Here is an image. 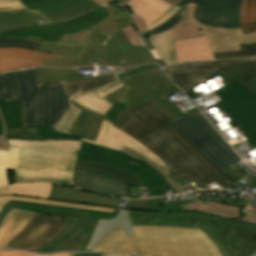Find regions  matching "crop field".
I'll return each mask as SVG.
<instances>
[{"instance_id": "crop-field-1", "label": "crop field", "mask_w": 256, "mask_h": 256, "mask_svg": "<svg viewBox=\"0 0 256 256\" xmlns=\"http://www.w3.org/2000/svg\"><path fill=\"white\" fill-rule=\"evenodd\" d=\"M122 10L114 5L99 7L73 19L10 30L0 36L80 46L79 66L90 65V60H100L102 66L118 67L155 62L145 47L132 46L122 32V28L133 25Z\"/></svg>"}, {"instance_id": "crop-field-2", "label": "crop field", "mask_w": 256, "mask_h": 256, "mask_svg": "<svg viewBox=\"0 0 256 256\" xmlns=\"http://www.w3.org/2000/svg\"><path fill=\"white\" fill-rule=\"evenodd\" d=\"M167 116L147 103L132 111L115 128L128 134L162 160L175 175L187 177L195 184H235L208 161L169 122Z\"/></svg>"}, {"instance_id": "crop-field-3", "label": "crop field", "mask_w": 256, "mask_h": 256, "mask_svg": "<svg viewBox=\"0 0 256 256\" xmlns=\"http://www.w3.org/2000/svg\"><path fill=\"white\" fill-rule=\"evenodd\" d=\"M132 227L135 236L126 237L121 228L107 236L94 251L140 256H221L212 241L201 230Z\"/></svg>"}, {"instance_id": "crop-field-4", "label": "crop field", "mask_w": 256, "mask_h": 256, "mask_svg": "<svg viewBox=\"0 0 256 256\" xmlns=\"http://www.w3.org/2000/svg\"><path fill=\"white\" fill-rule=\"evenodd\" d=\"M0 99H23L21 126L53 129L70 105L62 82L39 85L34 68L0 74Z\"/></svg>"}, {"instance_id": "crop-field-5", "label": "crop field", "mask_w": 256, "mask_h": 256, "mask_svg": "<svg viewBox=\"0 0 256 256\" xmlns=\"http://www.w3.org/2000/svg\"><path fill=\"white\" fill-rule=\"evenodd\" d=\"M132 225L176 226L203 230L222 256H250L256 251V227L198 212L152 213L129 211Z\"/></svg>"}, {"instance_id": "crop-field-6", "label": "crop field", "mask_w": 256, "mask_h": 256, "mask_svg": "<svg viewBox=\"0 0 256 256\" xmlns=\"http://www.w3.org/2000/svg\"><path fill=\"white\" fill-rule=\"evenodd\" d=\"M19 145L16 183H57L70 185L82 142L47 140L46 142L8 139Z\"/></svg>"}, {"instance_id": "crop-field-7", "label": "crop field", "mask_w": 256, "mask_h": 256, "mask_svg": "<svg viewBox=\"0 0 256 256\" xmlns=\"http://www.w3.org/2000/svg\"><path fill=\"white\" fill-rule=\"evenodd\" d=\"M72 186L117 197H128L127 184L145 186L139 177L114 165L76 161Z\"/></svg>"}, {"instance_id": "crop-field-8", "label": "crop field", "mask_w": 256, "mask_h": 256, "mask_svg": "<svg viewBox=\"0 0 256 256\" xmlns=\"http://www.w3.org/2000/svg\"><path fill=\"white\" fill-rule=\"evenodd\" d=\"M120 81L125 86L104 97L113 104L119 101L128 106L118 117L117 126L121 124L133 109L141 105L144 101L166 114L169 118L175 120V118L153 97L165 88L173 85L159 68L142 72ZM154 86H156V88H154Z\"/></svg>"}, {"instance_id": "crop-field-9", "label": "crop field", "mask_w": 256, "mask_h": 256, "mask_svg": "<svg viewBox=\"0 0 256 256\" xmlns=\"http://www.w3.org/2000/svg\"><path fill=\"white\" fill-rule=\"evenodd\" d=\"M171 124L221 170L240 161L200 113L181 118Z\"/></svg>"}, {"instance_id": "crop-field-10", "label": "crop field", "mask_w": 256, "mask_h": 256, "mask_svg": "<svg viewBox=\"0 0 256 256\" xmlns=\"http://www.w3.org/2000/svg\"><path fill=\"white\" fill-rule=\"evenodd\" d=\"M195 8L196 4H187V19L171 29L174 41L208 35L213 53L240 50V45L256 43V32L242 35L241 28L221 29L201 25L193 17Z\"/></svg>"}, {"instance_id": "crop-field-11", "label": "crop field", "mask_w": 256, "mask_h": 256, "mask_svg": "<svg viewBox=\"0 0 256 256\" xmlns=\"http://www.w3.org/2000/svg\"><path fill=\"white\" fill-rule=\"evenodd\" d=\"M216 92L224 100L216 105L239 126L251 145L256 147V94L237 80Z\"/></svg>"}, {"instance_id": "crop-field-12", "label": "crop field", "mask_w": 256, "mask_h": 256, "mask_svg": "<svg viewBox=\"0 0 256 256\" xmlns=\"http://www.w3.org/2000/svg\"><path fill=\"white\" fill-rule=\"evenodd\" d=\"M77 159L114 164L133 172L147 185L151 197L166 195L162 188L170 187L165 177L157 173L144 160H137L121 152L83 142Z\"/></svg>"}, {"instance_id": "crop-field-13", "label": "crop field", "mask_w": 256, "mask_h": 256, "mask_svg": "<svg viewBox=\"0 0 256 256\" xmlns=\"http://www.w3.org/2000/svg\"><path fill=\"white\" fill-rule=\"evenodd\" d=\"M70 218L35 214L25 228L10 241L6 248L35 252L56 237Z\"/></svg>"}, {"instance_id": "crop-field-14", "label": "crop field", "mask_w": 256, "mask_h": 256, "mask_svg": "<svg viewBox=\"0 0 256 256\" xmlns=\"http://www.w3.org/2000/svg\"><path fill=\"white\" fill-rule=\"evenodd\" d=\"M251 63H256V57L220 62L179 64L168 66L165 71L183 90H186L206 81L203 78L219 71Z\"/></svg>"}, {"instance_id": "crop-field-15", "label": "crop field", "mask_w": 256, "mask_h": 256, "mask_svg": "<svg viewBox=\"0 0 256 256\" xmlns=\"http://www.w3.org/2000/svg\"><path fill=\"white\" fill-rule=\"evenodd\" d=\"M198 4L194 17L198 22L221 28L240 27L241 0H192Z\"/></svg>"}, {"instance_id": "crop-field-16", "label": "crop field", "mask_w": 256, "mask_h": 256, "mask_svg": "<svg viewBox=\"0 0 256 256\" xmlns=\"http://www.w3.org/2000/svg\"><path fill=\"white\" fill-rule=\"evenodd\" d=\"M97 220L71 217L64 230L47 243L38 253L62 250H83L87 245Z\"/></svg>"}, {"instance_id": "crop-field-17", "label": "crop field", "mask_w": 256, "mask_h": 256, "mask_svg": "<svg viewBox=\"0 0 256 256\" xmlns=\"http://www.w3.org/2000/svg\"><path fill=\"white\" fill-rule=\"evenodd\" d=\"M101 5L90 0H45L25 7L41 12L49 21L68 19Z\"/></svg>"}, {"instance_id": "crop-field-18", "label": "crop field", "mask_w": 256, "mask_h": 256, "mask_svg": "<svg viewBox=\"0 0 256 256\" xmlns=\"http://www.w3.org/2000/svg\"><path fill=\"white\" fill-rule=\"evenodd\" d=\"M18 208L34 213L47 214V215H56V216H75L83 218H95V219H110L115 216L113 213L91 211L63 206H55L41 203H33L26 201H16L9 200L8 203L0 211V223L9 212L10 208Z\"/></svg>"}, {"instance_id": "crop-field-19", "label": "crop field", "mask_w": 256, "mask_h": 256, "mask_svg": "<svg viewBox=\"0 0 256 256\" xmlns=\"http://www.w3.org/2000/svg\"><path fill=\"white\" fill-rule=\"evenodd\" d=\"M84 142H89L98 146L107 147L112 150L120 151L125 145L133 150L147 156L152 161L162 167L168 174H172V171L157 157L146 150L137 141L124 134L122 131L115 129L109 121L103 119V123L99 132V135L95 142L82 139Z\"/></svg>"}, {"instance_id": "crop-field-20", "label": "crop field", "mask_w": 256, "mask_h": 256, "mask_svg": "<svg viewBox=\"0 0 256 256\" xmlns=\"http://www.w3.org/2000/svg\"><path fill=\"white\" fill-rule=\"evenodd\" d=\"M22 100H0V134H5V128H37L36 137L46 139L80 140L81 136L59 133L55 130L39 127H21Z\"/></svg>"}, {"instance_id": "crop-field-21", "label": "crop field", "mask_w": 256, "mask_h": 256, "mask_svg": "<svg viewBox=\"0 0 256 256\" xmlns=\"http://www.w3.org/2000/svg\"><path fill=\"white\" fill-rule=\"evenodd\" d=\"M62 57L47 52L19 47H0V72L43 66L42 58Z\"/></svg>"}, {"instance_id": "crop-field-22", "label": "crop field", "mask_w": 256, "mask_h": 256, "mask_svg": "<svg viewBox=\"0 0 256 256\" xmlns=\"http://www.w3.org/2000/svg\"><path fill=\"white\" fill-rule=\"evenodd\" d=\"M49 199L62 200V201L80 203V204L122 208V207L113 205L117 200L116 198L107 197V196L83 191V190L72 188V187L58 186V185L52 186Z\"/></svg>"}, {"instance_id": "crop-field-23", "label": "crop field", "mask_w": 256, "mask_h": 256, "mask_svg": "<svg viewBox=\"0 0 256 256\" xmlns=\"http://www.w3.org/2000/svg\"><path fill=\"white\" fill-rule=\"evenodd\" d=\"M178 62L215 60L207 36L174 43Z\"/></svg>"}, {"instance_id": "crop-field-24", "label": "crop field", "mask_w": 256, "mask_h": 256, "mask_svg": "<svg viewBox=\"0 0 256 256\" xmlns=\"http://www.w3.org/2000/svg\"><path fill=\"white\" fill-rule=\"evenodd\" d=\"M121 227L127 236L134 235L128 218V210H119L113 219L98 220L92 237L84 250L92 251L107 235Z\"/></svg>"}, {"instance_id": "crop-field-25", "label": "crop field", "mask_w": 256, "mask_h": 256, "mask_svg": "<svg viewBox=\"0 0 256 256\" xmlns=\"http://www.w3.org/2000/svg\"><path fill=\"white\" fill-rule=\"evenodd\" d=\"M33 215V213L12 208L0 225V248H5L9 241L24 228Z\"/></svg>"}, {"instance_id": "crop-field-26", "label": "crop field", "mask_w": 256, "mask_h": 256, "mask_svg": "<svg viewBox=\"0 0 256 256\" xmlns=\"http://www.w3.org/2000/svg\"><path fill=\"white\" fill-rule=\"evenodd\" d=\"M122 86L124 85L120 81H118L110 86H107L99 90L86 93L80 96H76L70 99L76 101L80 105L90 110H93L99 114L104 115L111 108L113 104L105 100L103 97L117 90Z\"/></svg>"}, {"instance_id": "crop-field-27", "label": "crop field", "mask_w": 256, "mask_h": 256, "mask_svg": "<svg viewBox=\"0 0 256 256\" xmlns=\"http://www.w3.org/2000/svg\"><path fill=\"white\" fill-rule=\"evenodd\" d=\"M191 196L194 198L196 202H192L190 204L183 205L182 207L188 211H198L208 215L233 220L239 219L240 216V209L241 207H229L224 206L222 204L216 202H209L207 204H202L192 193Z\"/></svg>"}, {"instance_id": "crop-field-28", "label": "crop field", "mask_w": 256, "mask_h": 256, "mask_svg": "<svg viewBox=\"0 0 256 256\" xmlns=\"http://www.w3.org/2000/svg\"><path fill=\"white\" fill-rule=\"evenodd\" d=\"M45 22H47V20L42 15L26 10L0 12V31Z\"/></svg>"}, {"instance_id": "crop-field-29", "label": "crop field", "mask_w": 256, "mask_h": 256, "mask_svg": "<svg viewBox=\"0 0 256 256\" xmlns=\"http://www.w3.org/2000/svg\"><path fill=\"white\" fill-rule=\"evenodd\" d=\"M35 69H36V73H37L40 84L85 78L83 73H79V70L77 68L53 69V68H47V67H38ZM111 74H114L113 70L111 71V73L99 74L96 77L107 76Z\"/></svg>"}, {"instance_id": "crop-field-30", "label": "crop field", "mask_w": 256, "mask_h": 256, "mask_svg": "<svg viewBox=\"0 0 256 256\" xmlns=\"http://www.w3.org/2000/svg\"><path fill=\"white\" fill-rule=\"evenodd\" d=\"M126 5L131 6L132 12L149 23L171 5L161 0H130Z\"/></svg>"}, {"instance_id": "crop-field-31", "label": "crop field", "mask_w": 256, "mask_h": 256, "mask_svg": "<svg viewBox=\"0 0 256 256\" xmlns=\"http://www.w3.org/2000/svg\"><path fill=\"white\" fill-rule=\"evenodd\" d=\"M224 82L227 84L235 79L239 80L256 93V64L240 66L219 72L215 75L205 78L206 80L220 74Z\"/></svg>"}, {"instance_id": "crop-field-32", "label": "crop field", "mask_w": 256, "mask_h": 256, "mask_svg": "<svg viewBox=\"0 0 256 256\" xmlns=\"http://www.w3.org/2000/svg\"><path fill=\"white\" fill-rule=\"evenodd\" d=\"M149 39L152 47L164 64L170 65L178 63L170 30L151 36Z\"/></svg>"}, {"instance_id": "crop-field-33", "label": "crop field", "mask_w": 256, "mask_h": 256, "mask_svg": "<svg viewBox=\"0 0 256 256\" xmlns=\"http://www.w3.org/2000/svg\"><path fill=\"white\" fill-rule=\"evenodd\" d=\"M101 123V118L86 114L81 111L70 133L81 135L84 136L85 139L94 141L99 132Z\"/></svg>"}, {"instance_id": "crop-field-34", "label": "crop field", "mask_w": 256, "mask_h": 256, "mask_svg": "<svg viewBox=\"0 0 256 256\" xmlns=\"http://www.w3.org/2000/svg\"><path fill=\"white\" fill-rule=\"evenodd\" d=\"M113 81H116V76L111 75L107 77L100 78H90V79H79L74 81L63 82L68 95L73 96L80 93L88 92L95 90L99 87H102L106 84H109Z\"/></svg>"}, {"instance_id": "crop-field-35", "label": "crop field", "mask_w": 256, "mask_h": 256, "mask_svg": "<svg viewBox=\"0 0 256 256\" xmlns=\"http://www.w3.org/2000/svg\"><path fill=\"white\" fill-rule=\"evenodd\" d=\"M128 210H142L153 212H181L186 211L181 206H162V198L147 200H130L126 205Z\"/></svg>"}, {"instance_id": "crop-field-36", "label": "crop field", "mask_w": 256, "mask_h": 256, "mask_svg": "<svg viewBox=\"0 0 256 256\" xmlns=\"http://www.w3.org/2000/svg\"><path fill=\"white\" fill-rule=\"evenodd\" d=\"M9 199H16V200H26V201H33V202H41V203H48V204H55V205H63V206H70V207H77V208H84V209H91V210H99V211H106V212H113L116 213L119 209L114 208H106V207H98V206H88V205H80L62 201H53V200H45V199H37V198H30V197H23V196H0V210L6 204Z\"/></svg>"}, {"instance_id": "crop-field-37", "label": "crop field", "mask_w": 256, "mask_h": 256, "mask_svg": "<svg viewBox=\"0 0 256 256\" xmlns=\"http://www.w3.org/2000/svg\"><path fill=\"white\" fill-rule=\"evenodd\" d=\"M17 148L9 145L8 150L0 149V186L9 185L6 169H15Z\"/></svg>"}, {"instance_id": "crop-field-38", "label": "crop field", "mask_w": 256, "mask_h": 256, "mask_svg": "<svg viewBox=\"0 0 256 256\" xmlns=\"http://www.w3.org/2000/svg\"><path fill=\"white\" fill-rule=\"evenodd\" d=\"M243 34L256 31V0H243L241 5Z\"/></svg>"}, {"instance_id": "crop-field-39", "label": "crop field", "mask_w": 256, "mask_h": 256, "mask_svg": "<svg viewBox=\"0 0 256 256\" xmlns=\"http://www.w3.org/2000/svg\"><path fill=\"white\" fill-rule=\"evenodd\" d=\"M52 185L15 184L11 187L12 194L37 198H49Z\"/></svg>"}, {"instance_id": "crop-field-40", "label": "crop field", "mask_w": 256, "mask_h": 256, "mask_svg": "<svg viewBox=\"0 0 256 256\" xmlns=\"http://www.w3.org/2000/svg\"><path fill=\"white\" fill-rule=\"evenodd\" d=\"M177 91H178L183 97H185V96L175 87V85L172 86V87H170V88H168V89H166V90H164V91H162L161 93L157 94V95L154 96V97H155V98L173 115V116H175V115H176L177 117L191 116V115H193V114H195V113H198L199 111L194 108V109H192L191 112L180 115L179 109H178V107H177L175 104L171 103V102L168 101L167 99H162V96H163L164 94L169 93V92H170V93H175V92H177Z\"/></svg>"}, {"instance_id": "crop-field-41", "label": "crop field", "mask_w": 256, "mask_h": 256, "mask_svg": "<svg viewBox=\"0 0 256 256\" xmlns=\"http://www.w3.org/2000/svg\"><path fill=\"white\" fill-rule=\"evenodd\" d=\"M185 18H186V6L180 8L170 19L166 20L158 27L148 31V33L151 36L160 32L167 31L173 28L178 23H180Z\"/></svg>"}, {"instance_id": "crop-field-42", "label": "crop field", "mask_w": 256, "mask_h": 256, "mask_svg": "<svg viewBox=\"0 0 256 256\" xmlns=\"http://www.w3.org/2000/svg\"><path fill=\"white\" fill-rule=\"evenodd\" d=\"M121 151L129 154L132 157H135V158H138V159H144L157 172H159L161 175H164L166 177L167 182L171 185L172 188H174L179 193L185 192L184 189L180 186V184H178L177 182H175L172 179H170L169 177H167L166 175H168V174L163 169H161L158 165H156L154 162H152L150 159L140 155L139 153L133 151L132 149H130V148L126 147V146Z\"/></svg>"}, {"instance_id": "crop-field-43", "label": "crop field", "mask_w": 256, "mask_h": 256, "mask_svg": "<svg viewBox=\"0 0 256 256\" xmlns=\"http://www.w3.org/2000/svg\"><path fill=\"white\" fill-rule=\"evenodd\" d=\"M214 55H215L216 60L256 56V44L248 45V46H241V51L216 53Z\"/></svg>"}, {"instance_id": "crop-field-44", "label": "crop field", "mask_w": 256, "mask_h": 256, "mask_svg": "<svg viewBox=\"0 0 256 256\" xmlns=\"http://www.w3.org/2000/svg\"><path fill=\"white\" fill-rule=\"evenodd\" d=\"M36 129H6V137L14 139H26L45 141L46 139L35 138Z\"/></svg>"}, {"instance_id": "crop-field-45", "label": "crop field", "mask_w": 256, "mask_h": 256, "mask_svg": "<svg viewBox=\"0 0 256 256\" xmlns=\"http://www.w3.org/2000/svg\"><path fill=\"white\" fill-rule=\"evenodd\" d=\"M44 66H54V67H76L78 66V59L74 57H62V58H49L43 59Z\"/></svg>"}, {"instance_id": "crop-field-46", "label": "crop field", "mask_w": 256, "mask_h": 256, "mask_svg": "<svg viewBox=\"0 0 256 256\" xmlns=\"http://www.w3.org/2000/svg\"><path fill=\"white\" fill-rule=\"evenodd\" d=\"M38 49L48 51V52L58 53V54L74 55V56H78V51H79V47L45 45V44H40Z\"/></svg>"}, {"instance_id": "crop-field-47", "label": "crop field", "mask_w": 256, "mask_h": 256, "mask_svg": "<svg viewBox=\"0 0 256 256\" xmlns=\"http://www.w3.org/2000/svg\"><path fill=\"white\" fill-rule=\"evenodd\" d=\"M38 45L39 43L28 40L0 37V46H19L37 50Z\"/></svg>"}, {"instance_id": "crop-field-48", "label": "crop field", "mask_w": 256, "mask_h": 256, "mask_svg": "<svg viewBox=\"0 0 256 256\" xmlns=\"http://www.w3.org/2000/svg\"><path fill=\"white\" fill-rule=\"evenodd\" d=\"M79 112L80 110H77L70 106L57 131L68 133Z\"/></svg>"}, {"instance_id": "crop-field-49", "label": "crop field", "mask_w": 256, "mask_h": 256, "mask_svg": "<svg viewBox=\"0 0 256 256\" xmlns=\"http://www.w3.org/2000/svg\"><path fill=\"white\" fill-rule=\"evenodd\" d=\"M242 211H245V213H243ZM241 215H242V219L233 220V221L256 226V208L248 204L246 208L242 207Z\"/></svg>"}, {"instance_id": "crop-field-50", "label": "crop field", "mask_w": 256, "mask_h": 256, "mask_svg": "<svg viewBox=\"0 0 256 256\" xmlns=\"http://www.w3.org/2000/svg\"><path fill=\"white\" fill-rule=\"evenodd\" d=\"M156 67H158L157 64L141 65V66L132 67V68L123 70L121 72L116 73V75H117L118 79L120 80L124 77L131 76V75H134L136 73L146 71V70H149V69H153V68H156Z\"/></svg>"}, {"instance_id": "crop-field-51", "label": "crop field", "mask_w": 256, "mask_h": 256, "mask_svg": "<svg viewBox=\"0 0 256 256\" xmlns=\"http://www.w3.org/2000/svg\"><path fill=\"white\" fill-rule=\"evenodd\" d=\"M123 32L125 33V35L128 37V39L130 40V42L132 43V45H141L144 46L142 41L140 40L137 31L133 26L128 27L123 29Z\"/></svg>"}, {"instance_id": "crop-field-52", "label": "crop field", "mask_w": 256, "mask_h": 256, "mask_svg": "<svg viewBox=\"0 0 256 256\" xmlns=\"http://www.w3.org/2000/svg\"><path fill=\"white\" fill-rule=\"evenodd\" d=\"M127 106L117 102L112 106V108L105 114L111 118V121L116 124L117 117Z\"/></svg>"}, {"instance_id": "crop-field-53", "label": "crop field", "mask_w": 256, "mask_h": 256, "mask_svg": "<svg viewBox=\"0 0 256 256\" xmlns=\"http://www.w3.org/2000/svg\"><path fill=\"white\" fill-rule=\"evenodd\" d=\"M177 9L174 7H170L167 11L162 13L160 16H158L155 20L147 24L148 29L160 24L161 22L165 21L171 14H173Z\"/></svg>"}, {"instance_id": "crop-field-54", "label": "crop field", "mask_w": 256, "mask_h": 256, "mask_svg": "<svg viewBox=\"0 0 256 256\" xmlns=\"http://www.w3.org/2000/svg\"><path fill=\"white\" fill-rule=\"evenodd\" d=\"M25 9L20 2L0 5V11H13V10H21Z\"/></svg>"}, {"instance_id": "crop-field-55", "label": "crop field", "mask_w": 256, "mask_h": 256, "mask_svg": "<svg viewBox=\"0 0 256 256\" xmlns=\"http://www.w3.org/2000/svg\"><path fill=\"white\" fill-rule=\"evenodd\" d=\"M0 256H34V255L26 252H22V251L0 250Z\"/></svg>"}, {"instance_id": "crop-field-56", "label": "crop field", "mask_w": 256, "mask_h": 256, "mask_svg": "<svg viewBox=\"0 0 256 256\" xmlns=\"http://www.w3.org/2000/svg\"><path fill=\"white\" fill-rule=\"evenodd\" d=\"M133 17L135 18V21H136V24L140 30V32H144V31H147V28H146V24L144 22L143 19H141L140 17H138L136 14H132Z\"/></svg>"}, {"instance_id": "crop-field-57", "label": "crop field", "mask_w": 256, "mask_h": 256, "mask_svg": "<svg viewBox=\"0 0 256 256\" xmlns=\"http://www.w3.org/2000/svg\"><path fill=\"white\" fill-rule=\"evenodd\" d=\"M148 37H149L148 34H146V35L143 36V38H144V40H145L147 46L150 48V50H151L152 53L154 54L156 60L159 61V62H162V61L160 60V58L157 56V54L155 53L154 49L151 47V45H150V43H149V40H148Z\"/></svg>"}, {"instance_id": "crop-field-58", "label": "crop field", "mask_w": 256, "mask_h": 256, "mask_svg": "<svg viewBox=\"0 0 256 256\" xmlns=\"http://www.w3.org/2000/svg\"><path fill=\"white\" fill-rule=\"evenodd\" d=\"M7 147H8V142H7V139L5 138V135H0V148L7 149Z\"/></svg>"}, {"instance_id": "crop-field-59", "label": "crop field", "mask_w": 256, "mask_h": 256, "mask_svg": "<svg viewBox=\"0 0 256 256\" xmlns=\"http://www.w3.org/2000/svg\"><path fill=\"white\" fill-rule=\"evenodd\" d=\"M123 1V4L125 5L129 0H122ZM169 4H171L172 6L175 7V4L179 1V0H163Z\"/></svg>"}, {"instance_id": "crop-field-60", "label": "crop field", "mask_w": 256, "mask_h": 256, "mask_svg": "<svg viewBox=\"0 0 256 256\" xmlns=\"http://www.w3.org/2000/svg\"><path fill=\"white\" fill-rule=\"evenodd\" d=\"M104 254H93V253H77L74 256H103Z\"/></svg>"}, {"instance_id": "crop-field-61", "label": "crop field", "mask_w": 256, "mask_h": 256, "mask_svg": "<svg viewBox=\"0 0 256 256\" xmlns=\"http://www.w3.org/2000/svg\"><path fill=\"white\" fill-rule=\"evenodd\" d=\"M10 194L9 187L0 188V195Z\"/></svg>"}, {"instance_id": "crop-field-62", "label": "crop field", "mask_w": 256, "mask_h": 256, "mask_svg": "<svg viewBox=\"0 0 256 256\" xmlns=\"http://www.w3.org/2000/svg\"><path fill=\"white\" fill-rule=\"evenodd\" d=\"M23 5L34 3L41 0H19Z\"/></svg>"}, {"instance_id": "crop-field-63", "label": "crop field", "mask_w": 256, "mask_h": 256, "mask_svg": "<svg viewBox=\"0 0 256 256\" xmlns=\"http://www.w3.org/2000/svg\"><path fill=\"white\" fill-rule=\"evenodd\" d=\"M71 102L74 103L76 106H78V107H80V108H82V109H84V110H86V111H88V112L97 114V113H95V112H93V111H90V110H88V109H86V108L80 106L79 104H77L76 102H74V101H72V100H71ZM97 115H99V114H97ZM100 116H102V115H100ZM102 117H105V116H102ZM105 118H107V117H105Z\"/></svg>"}, {"instance_id": "crop-field-64", "label": "crop field", "mask_w": 256, "mask_h": 256, "mask_svg": "<svg viewBox=\"0 0 256 256\" xmlns=\"http://www.w3.org/2000/svg\"><path fill=\"white\" fill-rule=\"evenodd\" d=\"M94 1H97L103 5H108L112 0H94Z\"/></svg>"}, {"instance_id": "crop-field-65", "label": "crop field", "mask_w": 256, "mask_h": 256, "mask_svg": "<svg viewBox=\"0 0 256 256\" xmlns=\"http://www.w3.org/2000/svg\"><path fill=\"white\" fill-rule=\"evenodd\" d=\"M191 0H181V2L177 5V7H181L185 4H187L188 2H190Z\"/></svg>"}, {"instance_id": "crop-field-66", "label": "crop field", "mask_w": 256, "mask_h": 256, "mask_svg": "<svg viewBox=\"0 0 256 256\" xmlns=\"http://www.w3.org/2000/svg\"><path fill=\"white\" fill-rule=\"evenodd\" d=\"M18 0H0V4L17 2Z\"/></svg>"}, {"instance_id": "crop-field-67", "label": "crop field", "mask_w": 256, "mask_h": 256, "mask_svg": "<svg viewBox=\"0 0 256 256\" xmlns=\"http://www.w3.org/2000/svg\"><path fill=\"white\" fill-rule=\"evenodd\" d=\"M65 253H59V254H52V255H44V256H62L64 255ZM36 256H39V255H36Z\"/></svg>"}, {"instance_id": "crop-field-68", "label": "crop field", "mask_w": 256, "mask_h": 256, "mask_svg": "<svg viewBox=\"0 0 256 256\" xmlns=\"http://www.w3.org/2000/svg\"><path fill=\"white\" fill-rule=\"evenodd\" d=\"M74 254H76V253H67L64 256H73Z\"/></svg>"}, {"instance_id": "crop-field-69", "label": "crop field", "mask_w": 256, "mask_h": 256, "mask_svg": "<svg viewBox=\"0 0 256 256\" xmlns=\"http://www.w3.org/2000/svg\"><path fill=\"white\" fill-rule=\"evenodd\" d=\"M111 256H126V255L112 254Z\"/></svg>"}, {"instance_id": "crop-field-70", "label": "crop field", "mask_w": 256, "mask_h": 256, "mask_svg": "<svg viewBox=\"0 0 256 256\" xmlns=\"http://www.w3.org/2000/svg\"><path fill=\"white\" fill-rule=\"evenodd\" d=\"M73 106H75L74 104H72ZM76 107V106H75ZM78 108V107H77ZM88 113V112H87ZM89 114H91V113H89ZM92 115H94V114H92ZM95 116H97V115H95ZM99 117V116H98ZM102 118V117H101ZM105 119V118H104ZM106 120H109V119H106ZM110 121V120H109Z\"/></svg>"}, {"instance_id": "crop-field-71", "label": "crop field", "mask_w": 256, "mask_h": 256, "mask_svg": "<svg viewBox=\"0 0 256 256\" xmlns=\"http://www.w3.org/2000/svg\"><path fill=\"white\" fill-rule=\"evenodd\" d=\"M111 254H106V255H104V256H110Z\"/></svg>"}, {"instance_id": "crop-field-72", "label": "crop field", "mask_w": 256, "mask_h": 256, "mask_svg": "<svg viewBox=\"0 0 256 256\" xmlns=\"http://www.w3.org/2000/svg\"><path fill=\"white\" fill-rule=\"evenodd\" d=\"M251 256H256V252L253 255H251Z\"/></svg>"}]
</instances>
